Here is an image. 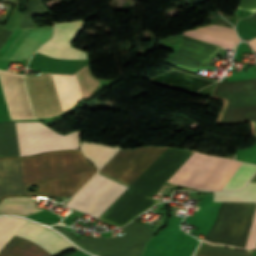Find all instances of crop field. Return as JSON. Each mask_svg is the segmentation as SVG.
Masks as SVG:
<instances>
[{
    "mask_svg": "<svg viewBox=\"0 0 256 256\" xmlns=\"http://www.w3.org/2000/svg\"><path fill=\"white\" fill-rule=\"evenodd\" d=\"M97 171L80 151L61 150L0 158V201L7 197L73 196ZM38 185L36 192L27 187Z\"/></svg>",
    "mask_w": 256,
    "mask_h": 256,
    "instance_id": "8a807250",
    "label": "crop field"
},
{
    "mask_svg": "<svg viewBox=\"0 0 256 256\" xmlns=\"http://www.w3.org/2000/svg\"><path fill=\"white\" fill-rule=\"evenodd\" d=\"M165 149V147L120 149L99 172L131 185ZM126 188L96 174L73 196L68 205L98 218Z\"/></svg>",
    "mask_w": 256,
    "mask_h": 256,
    "instance_id": "ac0d7876",
    "label": "crop field"
},
{
    "mask_svg": "<svg viewBox=\"0 0 256 256\" xmlns=\"http://www.w3.org/2000/svg\"><path fill=\"white\" fill-rule=\"evenodd\" d=\"M191 154L167 148L99 219L121 227L153 204L160 202L151 197Z\"/></svg>",
    "mask_w": 256,
    "mask_h": 256,
    "instance_id": "34b2d1b8",
    "label": "crop field"
},
{
    "mask_svg": "<svg viewBox=\"0 0 256 256\" xmlns=\"http://www.w3.org/2000/svg\"><path fill=\"white\" fill-rule=\"evenodd\" d=\"M239 164L194 152L168 182L197 189L220 190Z\"/></svg>",
    "mask_w": 256,
    "mask_h": 256,
    "instance_id": "412701ff",
    "label": "crop field"
},
{
    "mask_svg": "<svg viewBox=\"0 0 256 256\" xmlns=\"http://www.w3.org/2000/svg\"><path fill=\"white\" fill-rule=\"evenodd\" d=\"M122 228L126 233L122 236L107 239L81 236L78 239L61 226L54 227L78 245L102 256H142L144 246L154 236V231L134 221Z\"/></svg>",
    "mask_w": 256,
    "mask_h": 256,
    "instance_id": "f4fd0767",
    "label": "crop field"
},
{
    "mask_svg": "<svg viewBox=\"0 0 256 256\" xmlns=\"http://www.w3.org/2000/svg\"><path fill=\"white\" fill-rule=\"evenodd\" d=\"M15 236L52 255L64 248L74 246L50 229L29 221L24 224ZM38 248L13 237L0 251V256H52Z\"/></svg>",
    "mask_w": 256,
    "mask_h": 256,
    "instance_id": "dd49c442",
    "label": "crop field"
},
{
    "mask_svg": "<svg viewBox=\"0 0 256 256\" xmlns=\"http://www.w3.org/2000/svg\"><path fill=\"white\" fill-rule=\"evenodd\" d=\"M214 94L228 101L221 122L252 120L256 140V80L218 83Z\"/></svg>",
    "mask_w": 256,
    "mask_h": 256,
    "instance_id": "e52e79f7",
    "label": "crop field"
},
{
    "mask_svg": "<svg viewBox=\"0 0 256 256\" xmlns=\"http://www.w3.org/2000/svg\"><path fill=\"white\" fill-rule=\"evenodd\" d=\"M76 73L85 97L88 98L100 86L99 81L90 76L87 65ZM76 73L69 75L51 74L63 113L72 109L85 98Z\"/></svg>",
    "mask_w": 256,
    "mask_h": 256,
    "instance_id": "d8731c3e",
    "label": "crop field"
},
{
    "mask_svg": "<svg viewBox=\"0 0 256 256\" xmlns=\"http://www.w3.org/2000/svg\"><path fill=\"white\" fill-rule=\"evenodd\" d=\"M24 77L36 119H47L62 113L49 74Z\"/></svg>",
    "mask_w": 256,
    "mask_h": 256,
    "instance_id": "5a996713",
    "label": "crop field"
},
{
    "mask_svg": "<svg viewBox=\"0 0 256 256\" xmlns=\"http://www.w3.org/2000/svg\"><path fill=\"white\" fill-rule=\"evenodd\" d=\"M52 34L53 25L22 30L1 58L14 60L29 59L43 43L51 38Z\"/></svg>",
    "mask_w": 256,
    "mask_h": 256,
    "instance_id": "3316defc",
    "label": "crop field"
},
{
    "mask_svg": "<svg viewBox=\"0 0 256 256\" xmlns=\"http://www.w3.org/2000/svg\"><path fill=\"white\" fill-rule=\"evenodd\" d=\"M82 25V21L55 24V35L53 39L44 44L38 51L56 57L86 59V53L70 46V43Z\"/></svg>",
    "mask_w": 256,
    "mask_h": 256,
    "instance_id": "28ad6ade",
    "label": "crop field"
},
{
    "mask_svg": "<svg viewBox=\"0 0 256 256\" xmlns=\"http://www.w3.org/2000/svg\"><path fill=\"white\" fill-rule=\"evenodd\" d=\"M217 48L218 46L182 36L178 50L170 63L190 70L198 69L204 60L214 54Z\"/></svg>",
    "mask_w": 256,
    "mask_h": 256,
    "instance_id": "d1516ede",
    "label": "crop field"
},
{
    "mask_svg": "<svg viewBox=\"0 0 256 256\" xmlns=\"http://www.w3.org/2000/svg\"><path fill=\"white\" fill-rule=\"evenodd\" d=\"M181 34L232 49L238 43L234 29L215 25L202 26Z\"/></svg>",
    "mask_w": 256,
    "mask_h": 256,
    "instance_id": "22f410ed",
    "label": "crop field"
},
{
    "mask_svg": "<svg viewBox=\"0 0 256 256\" xmlns=\"http://www.w3.org/2000/svg\"><path fill=\"white\" fill-rule=\"evenodd\" d=\"M35 200L29 198L5 199L0 205V215L12 214L26 217L40 210L34 207Z\"/></svg>",
    "mask_w": 256,
    "mask_h": 256,
    "instance_id": "cbeb9de0",
    "label": "crop field"
},
{
    "mask_svg": "<svg viewBox=\"0 0 256 256\" xmlns=\"http://www.w3.org/2000/svg\"><path fill=\"white\" fill-rule=\"evenodd\" d=\"M0 156H19L14 122L0 123Z\"/></svg>",
    "mask_w": 256,
    "mask_h": 256,
    "instance_id": "5142ce71",
    "label": "crop field"
},
{
    "mask_svg": "<svg viewBox=\"0 0 256 256\" xmlns=\"http://www.w3.org/2000/svg\"><path fill=\"white\" fill-rule=\"evenodd\" d=\"M81 147L84 155L91 159L98 168H100L117 150L116 148L91 142H82Z\"/></svg>",
    "mask_w": 256,
    "mask_h": 256,
    "instance_id": "d9b57169",
    "label": "crop field"
},
{
    "mask_svg": "<svg viewBox=\"0 0 256 256\" xmlns=\"http://www.w3.org/2000/svg\"><path fill=\"white\" fill-rule=\"evenodd\" d=\"M214 201L256 202V183H248L239 192H215Z\"/></svg>",
    "mask_w": 256,
    "mask_h": 256,
    "instance_id": "733c2abd",
    "label": "crop field"
},
{
    "mask_svg": "<svg viewBox=\"0 0 256 256\" xmlns=\"http://www.w3.org/2000/svg\"><path fill=\"white\" fill-rule=\"evenodd\" d=\"M256 170V165L241 163L221 190H239ZM256 172V171H255Z\"/></svg>",
    "mask_w": 256,
    "mask_h": 256,
    "instance_id": "4a817a6b",
    "label": "crop field"
},
{
    "mask_svg": "<svg viewBox=\"0 0 256 256\" xmlns=\"http://www.w3.org/2000/svg\"><path fill=\"white\" fill-rule=\"evenodd\" d=\"M25 222L20 218L0 217V250Z\"/></svg>",
    "mask_w": 256,
    "mask_h": 256,
    "instance_id": "bc2a9ffb",
    "label": "crop field"
},
{
    "mask_svg": "<svg viewBox=\"0 0 256 256\" xmlns=\"http://www.w3.org/2000/svg\"><path fill=\"white\" fill-rule=\"evenodd\" d=\"M197 256H252L250 252H240L204 243Z\"/></svg>",
    "mask_w": 256,
    "mask_h": 256,
    "instance_id": "214f88e0",
    "label": "crop field"
},
{
    "mask_svg": "<svg viewBox=\"0 0 256 256\" xmlns=\"http://www.w3.org/2000/svg\"><path fill=\"white\" fill-rule=\"evenodd\" d=\"M256 242V213L254 215L243 249H253Z\"/></svg>",
    "mask_w": 256,
    "mask_h": 256,
    "instance_id": "92a150f3",
    "label": "crop field"
},
{
    "mask_svg": "<svg viewBox=\"0 0 256 256\" xmlns=\"http://www.w3.org/2000/svg\"><path fill=\"white\" fill-rule=\"evenodd\" d=\"M237 8L256 12V0H241Z\"/></svg>",
    "mask_w": 256,
    "mask_h": 256,
    "instance_id": "dafd665d",
    "label": "crop field"
},
{
    "mask_svg": "<svg viewBox=\"0 0 256 256\" xmlns=\"http://www.w3.org/2000/svg\"><path fill=\"white\" fill-rule=\"evenodd\" d=\"M249 44L253 48L254 52H256V38L249 41Z\"/></svg>",
    "mask_w": 256,
    "mask_h": 256,
    "instance_id": "00972430",
    "label": "crop field"
},
{
    "mask_svg": "<svg viewBox=\"0 0 256 256\" xmlns=\"http://www.w3.org/2000/svg\"><path fill=\"white\" fill-rule=\"evenodd\" d=\"M251 181H255V182H256V174H255L254 177L251 179Z\"/></svg>",
    "mask_w": 256,
    "mask_h": 256,
    "instance_id": "a9b5d70f",
    "label": "crop field"
}]
</instances>
